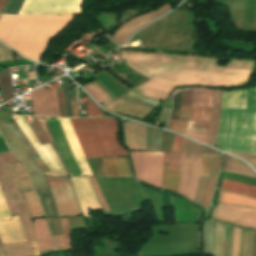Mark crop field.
<instances>
[{"mask_svg":"<svg viewBox=\"0 0 256 256\" xmlns=\"http://www.w3.org/2000/svg\"><path fill=\"white\" fill-rule=\"evenodd\" d=\"M121 53L129 67L151 79L135 89L145 97L159 100L180 86L244 87L249 83L254 63L228 60L225 67H216L218 60L213 59Z\"/></svg>","mask_w":256,"mask_h":256,"instance_id":"crop-field-1","label":"crop field"},{"mask_svg":"<svg viewBox=\"0 0 256 256\" xmlns=\"http://www.w3.org/2000/svg\"><path fill=\"white\" fill-rule=\"evenodd\" d=\"M216 145L226 152L256 154V87L224 91Z\"/></svg>","mask_w":256,"mask_h":256,"instance_id":"crop-field-2","label":"crop field"},{"mask_svg":"<svg viewBox=\"0 0 256 256\" xmlns=\"http://www.w3.org/2000/svg\"><path fill=\"white\" fill-rule=\"evenodd\" d=\"M77 17L0 15V39L39 62L49 42Z\"/></svg>","mask_w":256,"mask_h":256,"instance_id":"crop-field-3","label":"crop field"},{"mask_svg":"<svg viewBox=\"0 0 256 256\" xmlns=\"http://www.w3.org/2000/svg\"><path fill=\"white\" fill-rule=\"evenodd\" d=\"M86 158L126 156L118 125L110 118L70 119Z\"/></svg>","mask_w":256,"mask_h":256,"instance_id":"crop-field-4","label":"crop field"},{"mask_svg":"<svg viewBox=\"0 0 256 256\" xmlns=\"http://www.w3.org/2000/svg\"><path fill=\"white\" fill-rule=\"evenodd\" d=\"M201 154L202 146L184 137L181 153L165 152L164 155V163L169 164L168 170L181 172L178 193L191 201L198 184Z\"/></svg>","mask_w":256,"mask_h":256,"instance_id":"crop-field-5","label":"crop field"},{"mask_svg":"<svg viewBox=\"0 0 256 256\" xmlns=\"http://www.w3.org/2000/svg\"><path fill=\"white\" fill-rule=\"evenodd\" d=\"M19 161L11 151L0 154V188L11 215L19 214L28 241H37L32 219L10 162Z\"/></svg>","mask_w":256,"mask_h":256,"instance_id":"crop-field-6","label":"crop field"},{"mask_svg":"<svg viewBox=\"0 0 256 256\" xmlns=\"http://www.w3.org/2000/svg\"><path fill=\"white\" fill-rule=\"evenodd\" d=\"M0 131L3 133L11 151L24 161L35 188L38 189L49 186L45 176L41 174L43 172L37 167L38 165L32 158V156L38 155V153L13 118L5 122L1 120ZM33 164L37 165H34V169L41 173L33 170Z\"/></svg>","mask_w":256,"mask_h":256,"instance_id":"crop-field-7","label":"crop field"},{"mask_svg":"<svg viewBox=\"0 0 256 256\" xmlns=\"http://www.w3.org/2000/svg\"><path fill=\"white\" fill-rule=\"evenodd\" d=\"M84 0H25L19 14L72 15L80 14Z\"/></svg>","mask_w":256,"mask_h":256,"instance_id":"crop-field-8","label":"crop field"},{"mask_svg":"<svg viewBox=\"0 0 256 256\" xmlns=\"http://www.w3.org/2000/svg\"><path fill=\"white\" fill-rule=\"evenodd\" d=\"M130 154L134 163L136 178L161 188L164 152H130Z\"/></svg>","mask_w":256,"mask_h":256,"instance_id":"crop-field-9","label":"crop field"},{"mask_svg":"<svg viewBox=\"0 0 256 256\" xmlns=\"http://www.w3.org/2000/svg\"><path fill=\"white\" fill-rule=\"evenodd\" d=\"M47 177V176H46ZM59 216L81 215L69 177H47Z\"/></svg>","mask_w":256,"mask_h":256,"instance_id":"crop-field-10","label":"crop field"},{"mask_svg":"<svg viewBox=\"0 0 256 256\" xmlns=\"http://www.w3.org/2000/svg\"><path fill=\"white\" fill-rule=\"evenodd\" d=\"M9 151L0 134V152ZM13 221L2 223V221ZM0 240L2 244L25 242L26 237L18 215L10 216L9 210L0 190Z\"/></svg>","mask_w":256,"mask_h":256,"instance_id":"crop-field-11","label":"crop field"},{"mask_svg":"<svg viewBox=\"0 0 256 256\" xmlns=\"http://www.w3.org/2000/svg\"><path fill=\"white\" fill-rule=\"evenodd\" d=\"M213 155L203 154L201 162L200 177H209L212 168ZM220 165V156H214L213 168L210 178H200L195 196V203H198L207 209L215 180Z\"/></svg>","mask_w":256,"mask_h":256,"instance_id":"crop-field-12","label":"crop field"},{"mask_svg":"<svg viewBox=\"0 0 256 256\" xmlns=\"http://www.w3.org/2000/svg\"><path fill=\"white\" fill-rule=\"evenodd\" d=\"M12 117L15 119V121L18 123V125L21 127V129L24 131V133L27 135V137L31 141V143L34 146V148L36 149V151L40 154L42 159L47 164L50 172H44L45 175H49V176H53V177L67 176L66 172H65L61 162L59 161L55 151L53 150V148L50 146V144L44 145V146L40 145V143L36 139L35 135L29 128L24 116L13 115Z\"/></svg>","mask_w":256,"mask_h":256,"instance_id":"crop-field-13","label":"crop field"},{"mask_svg":"<svg viewBox=\"0 0 256 256\" xmlns=\"http://www.w3.org/2000/svg\"><path fill=\"white\" fill-rule=\"evenodd\" d=\"M213 218L233 225L256 229V210L233 205L218 204L214 210Z\"/></svg>","mask_w":256,"mask_h":256,"instance_id":"crop-field-14","label":"crop field"},{"mask_svg":"<svg viewBox=\"0 0 256 256\" xmlns=\"http://www.w3.org/2000/svg\"><path fill=\"white\" fill-rule=\"evenodd\" d=\"M225 224L214 220L203 223V245L204 254L213 256H223Z\"/></svg>","mask_w":256,"mask_h":256,"instance_id":"crop-field-15","label":"crop field"},{"mask_svg":"<svg viewBox=\"0 0 256 256\" xmlns=\"http://www.w3.org/2000/svg\"><path fill=\"white\" fill-rule=\"evenodd\" d=\"M47 120L61 158L70 175H82L70 150L59 120L52 118H47Z\"/></svg>","mask_w":256,"mask_h":256,"instance_id":"crop-field-16","label":"crop field"},{"mask_svg":"<svg viewBox=\"0 0 256 256\" xmlns=\"http://www.w3.org/2000/svg\"><path fill=\"white\" fill-rule=\"evenodd\" d=\"M34 115L59 116L56 90L43 86L30 93Z\"/></svg>","mask_w":256,"mask_h":256,"instance_id":"crop-field-17","label":"crop field"},{"mask_svg":"<svg viewBox=\"0 0 256 256\" xmlns=\"http://www.w3.org/2000/svg\"><path fill=\"white\" fill-rule=\"evenodd\" d=\"M83 216H89L87 206L102 210L88 178L70 177Z\"/></svg>","mask_w":256,"mask_h":256,"instance_id":"crop-field-18","label":"crop field"},{"mask_svg":"<svg viewBox=\"0 0 256 256\" xmlns=\"http://www.w3.org/2000/svg\"><path fill=\"white\" fill-rule=\"evenodd\" d=\"M105 109L144 120L154 109L125 96L103 106Z\"/></svg>","mask_w":256,"mask_h":256,"instance_id":"crop-field-19","label":"crop field"},{"mask_svg":"<svg viewBox=\"0 0 256 256\" xmlns=\"http://www.w3.org/2000/svg\"><path fill=\"white\" fill-rule=\"evenodd\" d=\"M171 8L172 6L165 5L154 12H151L130 20L129 22L123 24L111 39H113L119 45L125 43L136 30H138L139 28H141L151 20L162 15L163 13L169 11Z\"/></svg>","mask_w":256,"mask_h":256,"instance_id":"crop-field-20","label":"crop field"},{"mask_svg":"<svg viewBox=\"0 0 256 256\" xmlns=\"http://www.w3.org/2000/svg\"><path fill=\"white\" fill-rule=\"evenodd\" d=\"M12 165H13L14 171L17 174L20 186L24 192L25 199L28 203L31 216L32 217L44 216L42 209L39 205L38 199L36 197L35 191L32 187L29 177L23 167L22 162L13 163Z\"/></svg>","mask_w":256,"mask_h":256,"instance_id":"crop-field-21","label":"crop field"},{"mask_svg":"<svg viewBox=\"0 0 256 256\" xmlns=\"http://www.w3.org/2000/svg\"><path fill=\"white\" fill-rule=\"evenodd\" d=\"M212 90L194 88L192 93L191 108L199 106H211ZM201 112L210 113V107L191 109L190 120L200 121ZM202 113L201 121H210V114Z\"/></svg>","mask_w":256,"mask_h":256,"instance_id":"crop-field-22","label":"crop field"},{"mask_svg":"<svg viewBox=\"0 0 256 256\" xmlns=\"http://www.w3.org/2000/svg\"><path fill=\"white\" fill-rule=\"evenodd\" d=\"M61 122V125L63 127V130L65 132V135L67 137V140L69 142V145L71 147V150L77 160V163L83 173V175H89V176H93L84 157L82 154V151L80 149V146L78 144V141L76 139V136L73 132V129L71 127L70 124V120L69 119H59Z\"/></svg>","mask_w":256,"mask_h":256,"instance_id":"crop-field-23","label":"crop field"},{"mask_svg":"<svg viewBox=\"0 0 256 256\" xmlns=\"http://www.w3.org/2000/svg\"><path fill=\"white\" fill-rule=\"evenodd\" d=\"M125 127L129 149L145 150L146 127L128 122H125Z\"/></svg>","mask_w":256,"mask_h":256,"instance_id":"crop-field-24","label":"crop field"},{"mask_svg":"<svg viewBox=\"0 0 256 256\" xmlns=\"http://www.w3.org/2000/svg\"><path fill=\"white\" fill-rule=\"evenodd\" d=\"M199 211L185 200L174 197L175 222H197Z\"/></svg>","mask_w":256,"mask_h":256,"instance_id":"crop-field-25","label":"crop field"},{"mask_svg":"<svg viewBox=\"0 0 256 256\" xmlns=\"http://www.w3.org/2000/svg\"><path fill=\"white\" fill-rule=\"evenodd\" d=\"M34 228L36 231L40 251L42 252H48V251H54V246L49 234V230L46 224L45 219H36L34 220Z\"/></svg>","mask_w":256,"mask_h":256,"instance_id":"crop-field-26","label":"crop field"},{"mask_svg":"<svg viewBox=\"0 0 256 256\" xmlns=\"http://www.w3.org/2000/svg\"><path fill=\"white\" fill-rule=\"evenodd\" d=\"M3 250L5 253V256H39V248L37 242L30 243H21V244H8V245H2Z\"/></svg>","mask_w":256,"mask_h":256,"instance_id":"crop-field-27","label":"crop field"},{"mask_svg":"<svg viewBox=\"0 0 256 256\" xmlns=\"http://www.w3.org/2000/svg\"><path fill=\"white\" fill-rule=\"evenodd\" d=\"M217 202L256 208V199L221 190Z\"/></svg>","mask_w":256,"mask_h":256,"instance_id":"crop-field-28","label":"crop field"},{"mask_svg":"<svg viewBox=\"0 0 256 256\" xmlns=\"http://www.w3.org/2000/svg\"><path fill=\"white\" fill-rule=\"evenodd\" d=\"M210 123L187 121L185 135L207 144Z\"/></svg>","mask_w":256,"mask_h":256,"instance_id":"crop-field-29","label":"crop field"},{"mask_svg":"<svg viewBox=\"0 0 256 256\" xmlns=\"http://www.w3.org/2000/svg\"><path fill=\"white\" fill-rule=\"evenodd\" d=\"M63 235L52 236L55 250H72L70 226L67 218H59Z\"/></svg>","mask_w":256,"mask_h":256,"instance_id":"crop-field-30","label":"crop field"},{"mask_svg":"<svg viewBox=\"0 0 256 256\" xmlns=\"http://www.w3.org/2000/svg\"><path fill=\"white\" fill-rule=\"evenodd\" d=\"M222 90H214L212 102L211 126L208 145L214 146L216 139L217 123L220 112Z\"/></svg>","mask_w":256,"mask_h":256,"instance_id":"crop-field-31","label":"crop field"},{"mask_svg":"<svg viewBox=\"0 0 256 256\" xmlns=\"http://www.w3.org/2000/svg\"><path fill=\"white\" fill-rule=\"evenodd\" d=\"M222 171L256 177V174L244 162L225 154Z\"/></svg>","mask_w":256,"mask_h":256,"instance_id":"crop-field-32","label":"crop field"},{"mask_svg":"<svg viewBox=\"0 0 256 256\" xmlns=\"http://www.w3.org/2000/svg\"><path fill=\"white\" fill-rule=\"evenodd\" d=\"M220 189L256 198V188L222 179Z\"/></svg>","mask_w":256,"mask_h":256,"instance_id":"crop-field-33","label":"crop field"},{"mask_svg":"<svg viewBox=\"0 0 256 256\" xmlns=\"http://www.w3.org/2000/svg\"><path fill=\"white\" fill-rule=\"evenodd\" d=\"M167 167L168 165L164 164L162 173V188L177 193L180 173L167 171Z\"/></svg>","mask_w":256,"mask_h":256,"instance_id":"crop-field-34","label":"crop field"},{"mask_svg":"<svg viewBox=\"0 0 256 256\" xmlns=\"http://www.w3.org/2000/svg\"><path fill=\"white\" fill-rule=\"evenodd\" d=\"M161 130L148 127L146 134V150L160 151Z\"/></svg>","mask_w":256,"mask_h":256,"instance_id":"crop-field-35","label":"crop field"},{"mask_svg":"<svg viewBox=\"0 0 256 256\" xmlns=\"http://www.w3.org/2000/svg\"><path fill=\"white\" fill-rule=\"evenodd\" d=\"M0 88L5 102L13 98L10 69L0 72Z\"/></svg>","mask_w":256,"mask_h":256,"instance_id":"crop-field-36","label":"crop field"},{"mask_svg":"<svg viewBox=\"0 0 256 256\" xmlns=\"http://www.w3.org/2000/svg\"><path fill=\"white\" fill-rule=\"evenodd\" d=\"M84 88L100 104L111 100L108 94L95 81L84 86Z\"/></svg>","mask_w":256,"mask_h":256,"instance_id":"crop-field-37","label":"crop field"},{"mask_svg":"<svg viewBox=\"0 0 256 256\" xmlns=\"http://www.w3.org/2000/svg\"><path fill=\"white\" fill-rule=\"evenodd\" d=\"M191 93H192V89L182 91L181 106L190 107ZM189 111H190V108L181 107V112L179 117L189 118ZM184 118H179V119H184ZM184 120H189V119H184Z\"/></svg>","mask_w":256,"mask_h":256,"instance_id":"crop-field-38","label":"crop field"},{"mask_svg":"<svg viewBox=\"0 0 256 256\" xmlns=\"http://www.w3.org/2000/svg\"><path fill=\"white\" fill-rule=\"evenodd\" d=\"M36 118H37L38 122L40 123V125H41V127H42V129H43V131H44V133H45V135H46V137H47L49 143H50L51 146L54 148V150L56 151V153H57L59 159L61 160L60 155H59V153H58V151H57V148H56V146H55V144H54V141H53V139H52L51 133H50V131H49L46 118H41V117H36ZM61 162H62V160H61ZM62 164H63V162H62ZM63 166H64V164H63ZM64 168H65V166H64ZM65 170H66V168H65ZM66 171H67V170H66ZM67 173H68V171H67ZM68 175H69V173H68Z\"/></svg>","mask_w":256,"mask_h":256,"instance_id":"crop-field-39","label":"crop field"},{"mask_svg":"<svg viewBox=\"0 0 256 256\" xmlns=\"http://www.w3.org/2000/svg\"><path fill=\"white\" fill-rule=\"evenodd\" d=\"M31 118H32L33 122H31L29 124L30 128L35 133V135L38 138V140L40 141L41 145L47 144L48 141H47L43 131L41 130L36 118L35 117H31Z\"/></svg>","mask_w":256,"mask_h":256,"instance_id":"crop-field-40","label":"crop field"},{"mask_svg":"<svg viewBox=\"0 0 256 256\" xmlns=\"http://www.w3.org/2000/svg\"><path fill=\"white\" fill-rule=\"evenodd\" d=\"M120 177L131 178L125 158H114Z\"/></svg>","mask_w":256,"mask_h":256,"instance_id":"crop-field-41","label":"crop field"},{"mask_svg":"<svg viewBox=\"0 0 256 256\" xmlns=\"http://www.w3.org/2000/svg\"><path fill=\"white\" fill-rule=\"evenodd\" d=\"M102 160H103L106 176L107 177H119L116 167H115L114 159L107 158V159H102Z\"/></svg>","mask_w":256,"mask_h":256,"instance_id":"crop-field-42","label":"crop field"},{"mask_svg":"<svg viewBox=\"0 0 256 256\" xmlns=\"http://www.w3.org/2000/svg\"><path fill=\"white\" fill-rule=\"evenodd\" d=\"M89 179H90V181H91V183L93 185V188H94V190L96 192V195H97V197L99 199V202H100V205H101L102 209L104 210V212L110 211V209H109V207H108V205H107V203H106V201H105V199H104V197H103V195H102V193H101V191L99 189V186L97 184L96 179L95 178H89Z\"/></svg>","mask_w":256,"mask_h":256,"instance_id":"crop-field-43","label":"crop field"},{"mask_svg":"<svg viewBox=\"0 0 256 256\" xmlns=\"http://www.w3.org/2000/svg\"><path fill=\"white\" fill-rule=\"evenodd\" d=\"M24 0H9L3 14H17Z\"/></svg>","mask_w":256,"mask_h":256,"instance_id":"crop-field-44","label":"crop field"},{"mask_svg":"<svg viewBox=\"0 0 256 256\" xmlns=\"http://www.w3.org/2000/svg\"><path fill=\"white\" fill-rule=\"evenodd\" d=\"M240 238H241V229L234 227L233 244H232V255L231 256H238V254H239V246H240Z\"/></svg>","mask_w":256,"mask_h":256,"instance_id":"crop-field-45","label":"crop field"},{"mask_svg":"<svg viewBox=\"0 0 256 256\" xmlns=\"http://www.w3.org/2000/svg\"><path fill=\"white\" fill-rule=\"evenodd\" d=\"M62 84H63V90H64L66 114H67V117H72L71 105H70V93H69L67 79H62Z\"/></svg>","mask_w":256,"mask_h":256,"instance_id":"crop-field-46","label":"crop field"},{"mask_svg":"<svg viewBox=\"0 0 256 256\" xmlns=\"http://www.w3.org/2000/svg\"><path fill=\"white\" fill-rule=\"evenodd\" d=\"M249 235L250 231L242 229L240 256L248 255Z\"/></svg>","mask_w":256,"mask_h":256,"instance_id":"crop-field-47","label":"crop field"},{"mask_svg":"<svg viewBox=\"0 0 256 256\" xmlns=\"http://www.w3.org/2000/svg\"><path fill=\"white\" fill-rule=\"evenodd\" d=\"M185 122L186 121L182 120H169L168 129L183 134L185 130Z\"/></svg>","mask_w":256,"mask_h":256,"instance_id":"crop-field-48","label":"crop field"},{"mask_svg":"<svg viewBox=\"0 0 256 256\" xmlns=\"http://www.w3.org/2000/svg\"><path fill=\"white\" fill-rule=\"evenodd\" d=\"M13 61L12 51L0 44V62Z\"/></svg>","mask_w":256,"mask_h":256,"instance_id":"crop-field-49","label":"crop field"},{"mask_svg":"<svg viewBox=\"0 0 256 256\" xmlns=\"http://www.w3.org/2000/svg\"><path fill=\"white\" fill-rule=\"evenodd\" d=\"M102 116V112L87 98V117Z\"/></svg>","mask_w":256,"mask_h":256,"instance_id":"crop-field-50","label":"crop field"},{"mask_svg":"<svg viewBox=\"0 0 256 256\" xmlns=\"http://www.w3.org/2000/svg\"><path fill=\"white\" fill-rule=\"evenodd\" d=\"M126 95H128V96H130V97H132V98H134V99H137V100H139V101L145 102V103H147V104L153 105V106H155V107H157V106L160 104V102L150 101V100H146V99L140 97V96H139L138 94H136L133 90L130 91V92H129L128 94H126Z\"/></svg>","mask_w":256,"mask_h":256,"instance_id":"crop-field-51","label":"crop field"},{"mask_svg":"<svg viewBox=\"0 0 256 256\" xmlns=\"http://www.w3.org/2000/svg\"><path fill=\"white\" fill-rule=\"evenodd\" d=\"M60 116L66 117L62 90H57Z\"/></svg>","mask_w":256,"mask_h":256,"instance_id":"crop-field-52","label":"crop field"},{"mask_svg":"<svg viewBox=\"0 0 256 256\" xmlns=\"http://www.w3.org/2000/svg\"><path fill=\"white\" fill-rule=\"evenodd\" d=\"M230 154H234L241 157L242 159L249 162L256 169V156L244 155V154H238V153H230Z\"/></svg>","mask_w":256,"mask_h":256,"instance_id":"crop-field-53","label":"crop field"},{"mask_svg":"<svg viewBox=\"0 0 256 256\" xmlns=\"http://www.w3.org/2000/svg\"><path fill=\"white\" fill-rule=\"evenodd\" d=\"M182 139H183V137H180V136H177V135L175 136L171 151H176V152L180 151Z\"/></svg>","mask_w":256,"mask_h":256,"instance_id":"crop-field-54","label":"crop field"},{"mask_svg":"<svg viewBox=\"0 0 256 256\" xmlns=\"http://www.w3.org/2000/svg\"><path fill=\"white\" fill-rule=\"evenodd\" d=\"M73 117H79V109H77L76 100H71Z\"/></svg>","mask_w":256,"mask_h":256,"instance_id":"crop-field-55","label":"crop field"},{"mask_svg":"<svg viewBox=\"0 0 256 256\" xmlns=\"http://www.w3.org/2000/svg\"><path fill=\"white\" fill-rule=\"evenodd\" d=\"M232 232H233V227L230 226L229 243H228V255L227 256L231 255Z\"/></svg>","mask_w":256,"mask_h":256,"instance_id":"crop-field-56","label":"crop field"},{"mask_svg":"<svg viewBox=\"0 0 256 256\" xmlns=\"http://www.w3.org/2000/svg\"><path fill=\"white\" fill-rule=\"evenodd\" d=\"M254 233H255V231H251L250 245H249V255L248 256H251V254H252V246H253Z\"/></svg>","mask_w":256,"mask_h":256,"instance_id":"crop-field-57","label":"crop field"},{"mask_svg":"<svg viewBox=\"0 0 256 256\" xmlns=\"http://www.w3.org/2000/svg\"><path fill=\"white\" fill-rule=\"evenodd\" d=\"M203 152H208V153H211V154H218L219 155V153H216V152H214L212 150L203 149Z\"/></svg>","mask_w":256,"mask_h":256,"instance_id":"crop-field-58","label":"crop field"},{"mask_svg":"<svg viewBox=\"0 0 256 256\" xmlns=\"http://www.w3.org/2000/svg\"><path fill=\"white\" fill-rule=\"evenodd\" d=\"M4 2H5V0H0V10H1V8H2Z\"/></svg>","mask_w":256,"mask_h":256,"instance_id":"crop-field-59","label":"crop field"},{"mask_svg":"<svg viewBox=\"0 0 256 256\" xmlns=\"http://www.w3.org/2000/svg\"><path fill=\"white\" fill-rule=\"evenodd\" d=\"M0 256H4V253H3L1 245H0Z\"/></svg>","mask_w":256,"mask_h":256,"instance_id":"crop-field-60","label":"crop field"}]
</instances>
